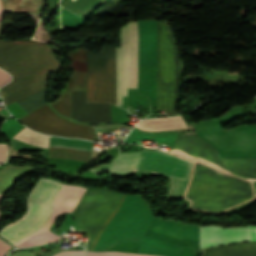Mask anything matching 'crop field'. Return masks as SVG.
<instances>
[{
  "instance_id": "obj_20",
  "label": "crop field",
  "mask_w": 256,
  "mask_h": 256,
  "mask_svg": "<svg viewBox=\"0 0 256 256\" xmlns=\"http://www.w3.org/2000/svg\"><path fill=\"white\" fill-rule=\"evenodd\" d=\"M11 247L12 246H10L0 240V256H4L5 252Z\"/></svg>"
},
{
  "instance_id": "obj_6",
  "label": "crop field",
  "mask_w": 256,
  "mask_h": 256,
  "mask_svg": "<svg viewBox=\"0 0 256 256\" xmlns=\"http://www.w3.org/2000/svg\"><path fill=\"white\" fill-rule=\"evenodd\" d=\"M166 153L142 151V159L135 175L162 174L170 176L172 181L168 196L182 197L193 161Z\"/></svg>"
},
{
  "instance_id": "obj_19",
  "label": "crop field",
  "mask_w": 256,
  "mask_h": 256,
  "mask_svg": "<svg viewBox=\"0 0 256 256\" xmlns=\"http://www.w3.org/2000/svg\"><path fill=\"white\" fill-rule=\"evenodd\" d=\"M10 79L11 77L9 76V74L0 70V86L6 84L8 81H10Z\"/></svg>"
},
{
  "instance_id": "obj_7",
  "label": "crop field",
  "mask_w": 256,
  "mask_h": 256,
  "mask_svg": "<svg viewBox=\"0 0 256 256\" xmlns=\"http://www.w3.org/2000/svg\"><path fill=\"white\" fill-rule=\"evenodd\" d=\"M196 133L216 147L221 157H256V131Z\"/></svg>"
},
{
  "instance_id": "obj_1",
  "label": "crop field",
  "mask_w": 256,
  "mask_h": 256,
  "mask_svg": "<svg viewBox=\"0 0 256 256\" xmlns=\"http://www.w3.org/2000/svg\"><path fill=\"white\" fill-rule=\"evenodd\" d=\"M84 191L85 188L40 178L29 196L28 211L19 220L3 228L0 235L16 247L60 239L49 227L57 215L73 211Z\"/></svg>"
},
{
  "instance_id": "obj_14",
  "label": "crop field",
  "mask_w": 256,
  "mask_h": 256,
  "mask_svg": "<svg viewBox=\"0 0 256 256\" xmlns=\"http://www.w3.org/2000/svg\"><path fill=\"white\" fill-rule=\"evenodd\" d=\"M67 57L71 60L73 70H86V50L76 48L68 51Z\"/></svg>"
},
{
  "instance_id": "obj_17",
  "label": "crop field",
  "mask_w": 256,
  "mask_h": 256,
  "mask_svg": "<svg viewBox=\"0 0 256 256\" xmlns=\"http://www.w3.org/2000/svg\"><path fill=\"white\" fill-rule=\"evenodd\" d=\"M53 256H84V251H61Z\"/></svg>"
},
{
  "instance_id": "obj_5",
  "label": "crop field",
  "mask_w": 256,
  "mask_h": 256,
  "mask_svg": "<svg viewBox=\"0 0 256 256\" xmlns=\"http://www.w3.org/2000/svg\"><path fill=\"white\" fill-rule=\"evenodd\" d=\"M199 227L157 218L143 236L138 253L179 256L181 247L198 248Z\"/></svg>"
},
{
  "instance_id": "obj_18",
  "label": "crop field",
  "mask_w": 256,
  "mask_h": 256,
  "mask_svg": "<svg viewBox=\"0 0 256 256\" xmlns=\"http://www.w3.org/2000/svg\"><path fill=\"white\" fill-rule=\"evenodd\" d=\"M7 145L0 144V164L6 161Z\"/></svg>"
},
{
  "instance_id": "obj_22",
  "label": "crop field",
  "mask_w": 256,
  "mask_h": 256,
  "mask_svg": "<svg viewBox=\"0 0 256 256\" xmlns=\"http://www.w3.org/2000/svg\"><path fill=\"white\" fill-rule=\"evenodd\" d=\"M2 197H3V195L0 194V201H1ZM0 220H1V215H0Z\"/></svg>"
},
{
  "instance_id": "obj_21",
  "label": "crop field",
  "mask_w": 256,
  "mask_h": 256,
  "mask_svg": "<svg viewBox=\"0 0 256 256\" xmlns=\"http://www.w3.org/2000/svg\"><path fill=\"white\" fill-rule=\"evenodd\" d=\"M58 0H49L50 9H54Z\"/></svg>"
},
{
  "instance_id": "obj_16",
  "label": "crop field",
  "mask_w": 256,
  "mask_h": 256,
  "mask_svg": "<svg viewBox=\"0 0 256 256\" xmlns=\"http://www.w3.org/2000/svg\"><path fill=\"white\" fill-rule=\"evenodd\" d=\"M97 130H103V129H128L130 130L131 127L130 126H126V125H116V124H108V125H99V126H95Z\"/></svg>"
},
{
  "instance_id": "obj_15",
  "label": "crop field",
  "mask_w": 256,
  "mask_h": 256,
  "mask_svg": "<svg viewBox=\"0 0 256 256\" xmlns=\"http://www.w3.org/2000/svg\"><path fill=\"white\" fill-rule=\"evenodd\" d=\"M87 256H151V255H140V254H132V253H124V252H89L87 251Z\"/></svg>"
},
{
  "instance_id": "obj_8",
  "label": "crop field",
  "mask_w": 256,
  "mask_h": 256,
  "mask_svg": "<svg viewBox=\"0 0 256 256\" xmlns=\"http://www.w3.org/2000/svg\"><path fill=\"white\" fill-rule=\"evenodd\" d=\"M256 241V227L247 226L232 229H222L216 226L201 227L200 248L229 244L241 241Z\"/></svg>"
},
{
  "instance_id": "obj_12",
  "label": "crop field",
  "mask_w": 256,
  "mask_h": 256,
  "mask_svg": "<svg viewBox=\"0 0 256 256\" xmlns=\"http://www.w3.org/2000/svg\"><path fill=\"white\" fill-rule=\"evenodd\" d=\"M1 5L2 11H31L40 13L44 2L43 0H7L1 2Z\"/></svg>"
},
{
  "instance_id": "obj_2",
  "label": "crop field",
  "mask_w": 256,
  "mask_h": 256,
  "mask_svg": "<svg viewBox=\"0 0 256 256\" xmlns=\"http://www.w3.org/2000/svg\"><path fill=\"white\" fill-rule=\"evenodd\" d=\"M60 67L52 48L44 43L0 40V68L13 76L0 88L5 105L47 88L46 75Z\"/></svg>"
},
{
  "instance_id": "obj_13",
  "label": "crop field",
  "mask_w": 256,
  "mask_h": 256,
  "mask_svg": "<svg viewBox=\"0 0 256 256\" xmlns=\"http://www.w3.org/2000/svg\"><path fill=\"white\" fill-rule=\"evenodd\" d=\"M13 138L30 145L48 148L49 136L33 132L25 127L21 129Z\"/></svg>"
},
{
  "instance_id": "obj_4",
  "label": "crop field",
  "mask_w": 256,
  "mask_h": 256,
  "mask_svg": "<svg viewBox=\"0 0 256 256\" xmlns=\"http://www.w3.org/2000/svg\"><path fill=\"white\" fill-rule=\"evenodd\" d=\"M157 29L156 110L166 109L167 115H178L183 63L167 20L157 22Z\"/></svg>"
},
{
  "instance_id": "obj_3",
  "label": "crop field",
  "mask_w": 256,
  "mask_h": 256,
  "mask_svg": "<svg viewBox=\"0 0 256 256\" xmlns=\"http://www.w3.org/2000/svg\"><path fill=\"white\" fill-rule=\"evenodd\" d=\"M122 42L118 48V105L125 96V26L120 29ZM137 22L126 24V96L127 88H137ZM116 65V48L103 47V52L87 51V66ZM87 101L106 102V67H87ZM108 102L116 105V66L109 67Z\"/></svg>"
},
{
  "instance_id": "obj_10",
  "label": "crop field",
  "mask_w": 256,
  "mask_h": 256,
  "mask_svg": "<svg viewBox=\"0 0 256 256\" xmlns=\"http://www.w3.org/2000/svg\"><path fill=\"white\" fill-rule=\"evenodd\" d=\"M140 159V152L119 153L110 164L95 168L87 172V174L97 176L104 171L111 172L118 176L133 174L136 171Z\"/></svg>"
},
{
  "instance_id": "obj_9",
  "label": "crop field",
  "mask_w": 256,
  "mask_h": 256,
  "mask_svg": "<svg viewBox=\"0 0 256 256\" xmlns=\"http://www.w3.org/2000/svg\"><path fill=\"white\" fill-rule=\"evenodd\" d=\"M91 144L92 142L68 138L51 137L50 139V146L88 152H91ZM53 147H50L49 157L82 162L90 160L91 153Z\"/></svg>"
},
{
  "instance_id": "obj_11",
  "label": "crop field",
  "mask_w": 256,
  "mask_h": 256,
  "mask_svg": "<svg viewBox=\"0 0 256 256\" xmlns=\"http://www.w3.org/2000/svg\"><path fill=\"white\" fill-rule=\"evenodd\" d=\"M106 1L107 0H75L72 2L70 0H61L59 3L63 7L88 19V17Z\"/></svg>"
}]
</instances>
